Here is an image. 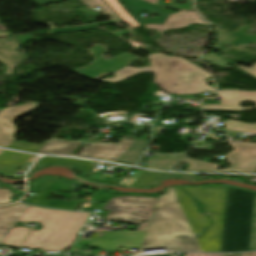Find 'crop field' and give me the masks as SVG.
<instances>
[{"label":"crop field","mask_w":256,"mask_h":256,"mask_svg":"<svg viewBox=\"0 0 256 256\" xmlns=\"http://www.w3.org/2000/svg\"><path fill=\"white\" fill-rule=\"evenodd\" d=\"M90 213L63 212L29 206L18 222L37 221L44 227L34 230L24 247L42 248L44 251H63L77 238Z\"/></svg>","instance_id":"obj_3"},{"label":"crop field","mask_w":256,"mask_h":256,"mask_svg":"<svg viewBox=\"0 0 256 256\" xmlns=\"http://www.w3.org/2000/svg\"><path fill=\"white\" fill-rule=\"evenodd\" d=\"M40 105L27 104L10 107L0 112V146L8 147L15 139L12 137L16 131L12 121L19 115L27 114Z\"/></svg>","instance_id":"obj_11"},{"label":"crop field","mask_w":256,"mask_h":256,"mask_svg":"<svg viewBox=\"0 0 256 256\" xmlns=\"http://www.w3.org/2000/svg\"><path fill=\"white\" fill-rule=\"evenodd\" d=\"M175 190L194 233L198 234L204 228L202 236L196 238L201 250L219 252L227 187H175ZM191 196L199 198L206 204L210 216L198 214Z\"/></svg>","instance_id":"obj_1"},{"label":"crop field","mask_w":256,"mask_h":256,"mask_svg":"<svg viewBox=\"0 0 256 256\" xmlns=\"http://www.w3.org/2000/svg\"><path fill=\"white\" fill-rule=\"evenodd\" d=\"M105 2L122 18L123 21L127 22L133 28L139 26V24L135 22L129 16V14L118 4L117 0H105Z\"/></svg>","instance_id":"obj_22"},{"label":"crop field","mask_w":256,"mask_h":256,"mask_svg":"<svg viewBox=\"0 0 256 256\" xmlns=\"http://www.w3.org/2000/svg\"><path fill=\"white\" fill-rule=\"evenodd\" d=\"M47 181L48 179H42L36 183L28 184L29 192L39 193Z\"/></svg>","instance_id":"obj_29"},{"label":"crop field","mask_w":256,"mask_h":256,"mask_svg":"<svg viewBox=\"0 0 256 256\" xmlns=\"http://www.w3.org/2000/svg\"><path fill=\"white\" fill-rule=\"evenodd\" d=\"M215 31L217 33L218 43L210 46L211 49L220 50L223 46H225L229 41L233 39L232 36L217 28H215Z\"/></svg>","instance_id":"obj_25"},{"label":"crop field","mask_w":256,"mask_h":256,"mask_svg":"<svg viewBox=\"0 0 256 256\" xmlns=\"http://www.w3.org/2000/svg\"><path fill=\"white\" fill-rule=\"evenodd\" d=\"M147 57L151 67L139 69L126 67L114 73V78L102 79V81L118 82L140 71H153L156 76L153 83L172 94L191 95L214 90L204 81L205 78L211 77L210 74L182 58L168 57L162 53Z\"/></svg>","instance_id":"obj_2"},{"label":"crop field","mask_w":256,"mask_h":256,"mask_svg":"<svg viewBox=\"0 0 256 256\" xmlns=\"http://www.w3.org/2000/svg\"><path fill=\"white\" fill-rule=\"evenodd\" d=\"M125 3L126 7L132 11L134 18L140 25L144 24H164L167 17L172 14L170 11L161 9L160 7L142 0H121ZM143 12L148 14L160 15L158 18H142L139 15Z\"/></svg>","instance_id":"obj_12"},{"label":"crop field","mask_w":256,"mask_h":256,"mask_svg":"<svg viewBox=\"0 0 256 256\" xmlns=\"http://www.w3.org/2000/svg\"><path fill=\"white\" fill-rule=\"evenodd\" d=\"M35 2H37L38 4L42 5L45 3H49V2H57V1H61V0H34Z\"/></svg>","instance_id":"obj_37"},{"label":"crop field","mask_w":256,"mask_h":256,"mask_svg":"<svg viewBox=\"0 0 256 256\" xmlns=\"http://www.w3.org/2000/svg\"><path fill=\"white\" fill-rule=\"evenodd\" d=\"M131 31L130 30H118L114 33H111L112 36H115V37H119L121 35H124V34H127V33H130Z\"/></svg>","instance_id":"obj_35"},{"label":"crop field","mask_w":256,"mask_h":256,"mask_svg":"<svg viewBox=\"0 0 256 256\" xmlns=\"http://www.w3.org/2000/svg\"><path fill=\"white\" fill-rule=\"evenodd\" d=\"M166 256H170V255H166Z\"/></svg>","instance_id":"obj_46"},{"label":"crop field","mask_w":256,"mask_h":256,"mask_svg":"<svg viewBox=\"0 0 256 256\" xmlns=\"http://www.w3.org/2000/svg\"><path fill=\"white\" fill-rule=\"evenodd\" d=\"M167 173L142 172L131 187H154L159 184L161 179H167Z\"/></svg>","instance_id":"obj_19"},{"label":"crop field","mask_w":256,"mask_h":256,"mask_svg":"<svg viewBox=\"0 0 256 256\" xmlns=\"http://www.w3.org/2000/svg\"><path fill=\"white\" fill-rule=\"evenodd\" d=\"M11 196L12 193L9 189H0V204H6L11 202Z\"/></svg>","instance_id":"obj_31"},{"label":"crop field","mask_w":256,"mask_h":256,"mask_svg":"<svg viewBox=\"0 0 256 256\" xmlns=\"http://www.w3.org/2000/svg\"><path fill=\"white\" fill-rule=\"evenodd\" d=\"M193 234L178 203L173 187L159 196L157 209L148 225L141 249L165 246V240Z\"/></svg>","instance_id":"obj_5"},{"label":"crop field","mask_w":256,"mask_h":256,"mask_svg":"<svg viewBox=\"0 0 256 256\" xmlns=\"http://www.w3.org/2000/svg\"><path fill=\"white\" fill-rule=\"evenodd\" d=\"M27 208V205L22 204L0 207V243ZM7 223L8 225H6ZM9 223L11 224L9 225Z\"/></svg>","instance_id":"obj_13"},{"label":"crop field","mask_w":256,"mask_h":256,"mask_svg":"<svg viewBox=\"0 0 256 256\" xmlns=\"http://www.w3.org/2000/svg\"><path fill=\"white\" fill-rule=\"evenodd\" d=\"M212 149H213V147L210 146V147L203 148V149H201V150H212Z\"/></svg>","instance_id":"obj_41"},{"label":"crop field","mask_w":256,"mask_h":256,"mask_svg":"<svg viewBox=\"0 0 256 256\" xmlns=\"http://www.w3.org/2000/svg\"><path fill=\"white\" fill-rule=\"evenodd\" d=\"M145 1H148V2H151V3H154L157 1V0H145Z\"/></svg>","instance_id":"obj_43"},{"label":"crop field","mask_w":256,"mask_h":256,"mask_svg":"<svg viewBox=\"0 0 256 256\" xmlns=\"http://www.w3.org/2000/svg\"><path fill=\"white\" fill-rule=\"evenodd\" d=\"M224 256H227V255H224ZM241 256H256V252L242 253Z\"/></svg>","instance_id":"obj_39"},{"label":"crop field","mask_w":256,"mask_h":256,"mask_svg":"<svg viewBox=\"0 0 256 256\" xmlns=\"http://www.w3.org/2000/svg\"><path fill=\"white\" fill-rule=\"evenodd\" d=\"M3 151L2 150H0V154L2 153Z\"/></svg>","instance_id":"obj_44"},{"label":"crop field","mask_w":256,"mask_h":256,"mask_svg":"<svg viewBox=\"0 0 256 256\" xmlns=\"http://www.w3.org/2000/svg\"><path fill=\"white\" fill-rule=\"evenodd\" d=\"M222 255L223 254H205V253H187L186 254V256H222Z\"/></svg>","instance_id":"obj_34"},{"label":"crop field","mask_w":256,"mask_h":256,"mask_svg":"<svg viewBox=\"0 0 256 256\" xmlns=\"http://www.w3.org/2000/svg\"><path fill=\"white\" fill-rule=\"evenodd\" d=\"M1 111V110H0Z\"/></svg>","instance_id":"obj_47"},{"label":"crop field","mask_w":256,"mask_h":256,"mask_svg":"<svg viewBox=\"0 0 256 256\" xmlns=\"http://www.w3.org/2000/svg\"><path fill=\"white\" fill-rule=\"evenodd\" d=\"M45 143L46 142H44L42 145H36L27 142L14 141L8 148L37 152Z\"/></svg>","instance_id":"obj_24"},{"label":"crop field","mask_w":256,"mask_h":256,"mask_svg":"<svg viewBox=\"0 0 256 256\" xmlns=\"http://www.w3.org/2000/svg\"><path fill=\"white\" fill-rule=\"evenodd\" d=\"M253 173H256V169H255V171Z\"/></svg>","instance_id":"obj_45"},{"label":"crop field","mask_w":256,"mask_h":256,"mask_svg":"<svg viewBox=\"0 0 256 256\" xmlns=\"http://www.w3.org/2000/svg\"><path fill=\"white\" fill-rule=\"evenodd\" d=\"M114 196V193L109 191H103L94 197V200L103 202Z\"/></svg>","instance_id":"obj_32"},{"label":"crop field","mask_w":256,"mask_h":256,"mask_svg":"<svg viewBox=\"0 0 256 256\" xmlns=\"http://www.w3.org/2000/svg\"><path fill=\"white\" fill-rule=\"evenodd\" d=\"M185 154L163 156L154 154L148 162L149 165L146 168L171 170L184 156Z\"/></svg>","instance_id":"obj_18"},{"label":"crop field","mask_w":256,"mask_h":256,"mask_svg":"<svg viewBox=\"0 0 256 256\" xmlns=\"http://www.w3.org/2000/svg\"><path fill=\"white\" fill-rule=\"evenodd\" d=\"M98 253H99L98 251H94L90 255H99Z\"/></svg>","instance_id":"obj_42"},{"label":"crop field","mask_w":256,"mask_h":256,"mask_svg":"<svg viewBox=\"0 0 256 256\" xmlns=\"http://www.w3.org/2000/svg\"><path fill=\"white\" fill-rule=\"evenodd\" d=\"M247 28L248 27H243L241 31H238V32H235V33H232V32H229V31L225 30L226 32L236 36V39L230 45H232V44H249V43H252V42H256V35L248 36V35L243 33Z\"/></svg>","instance_id":"obj_23"},{"label":"crop field","mask_w":256,"mask_h":256,"mask_svg":"<svg viewBox=\"0 0 256 256\" xmlns=\"http://www.w3.org/2000/svg\"><path fill=\"white\" fill-rule=\"evenodd\" d=\"M29 232H30V229H27V228H22V227L12 228V230L9 232V234L3 241V244L19 247V245L24 240V238L28 235Z\"/></svg>","instance_id":"obj_20"},{"label":"crop field","mask_w":256,"mask_h":256,"mask_svg":"<svg viewBox=\"0 0 256 256\" xmlns=\"http://www.w3.org/2000/svg\"><path fill=\"white\" fill-rule=\"evenodd\" d=\"M230 143H236V144H244V145H251L254 146L255 144L252 143H240V142H234V141H229Z\"/></svg>","instance_id":"obj_40"},{"label":"crop field","mask_w":256,"mask_h":256,"mask_svg":"<svg viewBox=\"0 0 256 256\" xmlns=\"http://www.w3.org/2000/svg\"><path fill=\"white\" fill-rule=\"evenodd\" d=\"M190 23L205 24L195 12L181 11L179 13L169 16L164 25H145V27L155 28L159 32H161L166 29L187 26Z\"/></svg>","instance_id":"obj_14"},{"label":"crop field","mask_w":256,"mask_h":256,"mask_svg":"<svg viewBox=\"0 0 256 256\" xmlns=\"http://www.w3.org/2000/svg\"><path fill=\"white\" fill-rule=\"evenodd\" d=\"M82 141L51 139L38 152L70 155Z\"/></svg>","instance_id":"obj_17"},{"label":"crop field","mask_w":256,"mask_h":256,"mask_svg":"<svg viewBox=\"0 0 256 256\" xmlns=\"http://www.w3.org/2000/svg\"><path fill=\"white\" fill-rule=\"evenodd\" d=\"M134 142L135 140L122 139L119 144H89L76 156L116 161Z\"/></svg>","instance_id":"obj_10"},{"label":"crop field","mask_w":256,"mask_h":256,"mask_svg":"<svg viewBox=\"0 0 256 256\" xmlns=\"http://www.w3.org/2000/svg\"><path fill=\"white\" fill-rule=\"evenodd\" d=\"M90 51L98 61L93 62L90 66L81 68L77 71L81 72L85 77L91 79H96L104 74L115 72L127 66L128 61L137 58L127 53L116 59L105 60L102 57V53L106 52V49L102 45H97L94 48L90 49Z\"/></svg>","instance_id":"obj_9"},{"label":"crop field","mask_w":256,"mask_h":256,"mask_svg":"<svg viewBox=\"0 0 256 256\" xmlns=\"http://www.w3.org/2000/svg\"><path fill=\"white\" fill-rule=\"evenodd\" d=\"M160 1H161V0H158V1L156 2V4H158V5H160V6H164V4L160 3ZM174 1H175V0L170 1L169 5H167V6L173 7V8H175V9H185V10H192V11H193V9L190 7L191 0H186V6L173 4Z\"/></svg>","instance_id":"obj_30"},{"label":"crop field","mask_w":256,"mask_h":256,"mask_svg":"<svg viewBox=\"0 0 256 256\" xmlns=\"http://www.w3.org/2000/svg\"><path fill=\"white\" fill-rule=\"evenodd\" d=\"M87 5L93 7V6H99L102 9L100 10L101 12L115 18L118 22H122L117 15L111 10L109 9L103 2L102 0H83Z\"/></svg>","instance_id":"obj_26"},{"label":"crop field","mask_w":256,"mask_h":256,"mask_svg":"<svg viewBox=\"0 0 256 256\" xmlns=\"http://www.w3.org/2000/svg\"><path fill=\"white\" fill-rule=\"evenodd\" d=\"M106 23H116V22L111 21V22H105V23H99V24H106ZM99 24L55 29V30H51V33H58L62 31H81V30L98 29L99 27L97 25Z\"/></svg>","instance_id":"obj_27"},{"label":"crop field","mask_w":256,"mask_h":256,"mask_svg":"<svg viewBox=\"0 0 256 256\" xmlns=\"http://www.w3.org/2000/svg\"><path fill=\"white\" fill-rule=\"evenodd\" d=\"M254 193L228 186L220 252L248 251Z\"/></svg>","instance_id":"obj_4"},{"label":"crop field","mask_w":256,"mask_h":256,"mask_svg":"<svg viewBox=\"0 0 256 256\" xmlns=\"http://www.w3.org/2000/svg\"><path fill=\"white\" fill-rule=\"evenodd\" d=\"M80 11H81L82 13L87 14V15L92 16V17L98 16V13H96V12L93 11V10H80Z\"/></svg>","instance_id":"obj_36"},{"label":"crop field","mask_w":256,"mask_h":256,"mask_svg":"<svg viewBox=\"0 0 256 256\" xmlns=\"http://www.w3.org/2000/svg\"><path fill=\"white\" fill-rule=\"evenodd\" d=\"M158 198L121 196L110 199L104 209L110 210L108 220L138 224L137 230L146 231L150 218L156 208ZM133 220V222H131ZM137 220V222H135ZM142 220H146L144 223Z\"/></svg>","instance_id":"obj_6"},{"label":"crop field","mask_w":256,"mask_h":256,"mask_svg":"<svg viewBox=\"0 0 256 256\" xmlns=\"http://www.w3.org/2000/svg\"><path fill=\"white\" fill-rule=\"evenodd\" d=\"M32 156L16 152L4 151L0 155V172L11 177L19 170Z\"/></svg>","instance_id":"obj_15"},{"label":"crop field","mask_w":256,"mask_h":256,"mask_svg":"<svg viewBox=\"0 0 256 256\" xmlns=\"http://www.w3.org/2000/svg\"><path fill=\"white\" fill-rule=\"evenodd\" d=\"M229 145L235 148L226 156L232 164L230 168L216 170L219 165L187 158H184L182 162L191 164L187 169L190 171H233L252 173L256 168V145L254 147L236 144Z\"/></svg>","instance_id":"obj_8"},{"label":"crop field","mask_w":256,"mask_h":256,"mask_svg":"<svg viewBox=\"0 0 256 256\" xmlns=\"http://www.w3.org/2000/svg\"><path fill=\"white\" fill-rule=\"evenodd\" d=\"M184 237H186L187 238V240H189V239H195V236L194 235H185ZM181 237H179V238H174V239H171V240H175V239H180ZM169 241V240H168ZM167 242V241H166ZM165 245L167 246V247H169L166 243H165ZM170 248V247H169Z\"/></svg>","instance_id":"obj_38"},{"label":"crop field","mask_w":256,"mask_h":256,"mask_svg":"<svg viewBox=\"0 0 256 256\" xmlns=\"http://www.w3.org/2000/svg\"><path fill=\"white\" fill-rule=\"evenodd\" d=\"M89 163L90 161H84V160H78V159L44 157L40 159V161L32 168V170L28 174L35 172L39 167L43 165H51V164L70 165L78 169L80 172H90L91 170H93L95 165L89 164Z\"/></svg>","instance_id":"obj_16"},{"label":"crop field","mask_w":256,"mask_h":256,"mask_svg":"<svg viewBox=\"0 0 256 256\" xmlns=\"http://www.w3.org/2000/svg\"><path fill=\"white\" fill-rule=\"evenodd\" d=\"M201 59H204V60H207L209 62H212L213 64H215V65H217L219 67H223V66L229 64V63L225 62L223 59H221L220 57L214 55L213 53H210L209 55H207L205 57H202Z\"/></svg>","instance_id":"obj_28"},{"label":"crop field","mask_w":256,"mask_h":256,"mask_svg":"<svg viewBox=\"0 0 256 256\" xmlns=\"http://www.w3.org/2000/svg\"><path fill=\"white\" fill-rule=\"evenodd\" d=\"M243 70L256 76V63L252 68H243ZM221 98V105H205L201 106L202 110H245L250 108H241L239 103L242 101H253L256 103V92H244V91H217ZM226 129L256 134V124H245L242 122L228 120L224 121Z\"/></svg>","instance_id":"obj_7"},{"label":"crop field","mask_w":256,"mask_h":256,"mask_svg":"<svg viewBox=\"0 0 256 256\" xmlns=\"http://www.w3.org/2000/svg\"><path fill=\"white\" fill-rule=\"evenodd\" d=\"M23 35V34H22ZM20 45L25 44L28 40H32V35L15 36Z\"/></svg>","instance_id":"obj_33"},{"label":"crop field","mask_w":256,"mask_h":256,"mask_svg":"<svg viewBox=\"0 0 256 256\" xmlns=\"http://www.w3.org/2000/svg\"><path fill=\"white\" fill-rule=\"evenodd\" d=\"M168 245L173 249V252L200 251L196 240L185 241L184 237L181 240L170 241Z\"/></svg>","instance_id":"obj_21"}]
</instances>
